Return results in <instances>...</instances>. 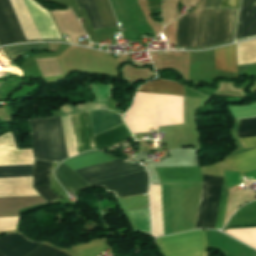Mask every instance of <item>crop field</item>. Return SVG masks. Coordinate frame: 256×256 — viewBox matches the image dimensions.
I'll list each match as a JSON object with an SVG mask.
<instances>
[{
    "label": "crop field",
    "mask_w": 256,
    "mask_h": 256,
    "mask_svg": "<svg viewBox=\"0 0 256 256\" xmlns=\"http://www.w3.org/2000/svg\"><path fill=\"white\" fill-rule=\"evenodd\" d=\"M202 0L180 18L178 47L205 48L234 41L240 0ZM223 4V9H222ZM219 10L232 12L204 11Z\"/></svg>",
    "instance_id": "crop-field-1"
},
{
    "label": "crop field",
    "mask_w": 256,
    "mask_h": 256,
    "mask_svg": "<svg viewBox=\"0 0 256 256\" xmlns=\"http://www.w3.org/2000/svg\"><path fill=\"white\" fill-rule=\"evenodd\" d=\"M42 38L61 39L47 10L24 0ZM23 0H11L28 39L41 38ZM10 0H0V44L28 41Z\"/></svg>",
    "instance_id": "crop-field-2"
},
{
    "label": "crop field",
    "mask_w": 256,
    "mask_h": 256,
    "mask_svg": "<svg viewBox=\"0 0 256 256\" xmlns=\"http://www.w3.org/2000/svg\"><path fill=\"white\" fill-rule=\"evenodd\" d=\"M30 133L37 159L60 162L68 158L59 116L28 119Z\"/></svg>",
    "instance_id": "crop-field-3"
},
{
    "label": "crop field",
    "mask_w": 256,
    "mask_h": 256,
    "mask_svg": "<svg viewBox=\"0 0 256 256\" xmlns=\"http://www.w3.org/2000/svg\"><path fill=\"white\" fill-rule=\"evenodd\" d=\"M202 178L203 187L196 229H215L223 178L204 174H202ZM227 199L224 178L216 229L223 226Z\"/></svg>",
    "instance_id": "crop-field-4"
},
{
    "label": "crop field",
    "mask_w": 256,
    "mask_h": 256,
    "mask_svg": "<svg viewBox=\"0 0 256 256\" xmlns=\"http://www.w3.org/2000/svg\"><path fill=\"white\" fill-rule=\"evenodd\" d=\"M164 256H207L204 230L164 236L156 240Z\"/></svg>",
    "instance_id": "crop-field-5"
},
{
    "label": "crop field",
    "mask_w": 256,
    "mask_h": 256,
    "mask_svg": "<svg viewBox=\"0 0 256 256\" xmlns=\"http://www.w3.org/2000/svg\"><path fill=\"white\" fill-rule=\"evenodd\" d=\"M72 117L80 153L95 149L88 112ZM72 117L60 116L69 157L79 154Z\"/></svg>",
    "instance_id": "crop-field-6"
},
{
    "label": "crop field",
    "mask_w": 256,
    "mask_h": 256,
    "mask_svg": "<svg viewBox=\"0 0 256 256\" xmlns=\"http://www.w3.org/2000/svg\"><path fill=\"white\" fill-rule=\"evenodd\" d=\"M34 165L0 167V177L33 176ZM33 177L0 178V197L39 195Z\"/></svg>",
    "instance_id": "crop-field-7"
},
{
    "label": "crop field",
    "mask_w": 256,
    "mask_h": 256,
    "mask_svg": "<svg viewBox=\"0 0 256 256\" xmlns=\"http://www.w3.org/2000/svg\"><path fill=\"white\" fill-rule=\"evenodd\" d=\"M144 170V166L119 159L75 171L92 184Z\"/></svg>",
    "instance_id": "crop-field-8"
},
{
    "label": "crop field",
    "mask_w": 256,
    "mask_h": 256,
    "mask_svg": "<svg viewBox=\"0 0 256 256\" xmlns=\"http://www.w3.org/2000/svg\"><path fill=\"white\" fill-rule=\"evenodd\" d=\"M102 186L108 193L114 192L115 197H125L148 193V174L146 171L92 184Z\"/></svg>",
    "instance_id": "crop-field-9"
},
{
    "label": "crop field",
    "mask_w": 256,
    "mask_h": 256,
    "mask_svg": "<svg viewBox=\"0 0 256 256\" xmlns=\"http://www.w3.org/2000/svg\"><path fill=\"white\" fill-rule=\"evenodd\" d=\"M241 137L256 136V118L242 120L240 126ZM246 148L256 147V137L242 139ZM227 161L239 169L242 173L256 169V149L250 152L232 157Z\"/></svg>",
    "instance_id": "crop-field-10"
},
{
    "label": "crop field",
    "mask_w": 256,
    "mask_h": 256,
    "mask_svg": "<svg viewBox=\"0 0 256 256\" xmlns=\"http://www.w3.org/2000/svg\"><path fill=\"white\" fill-rule=\"evenodd\" d=\"M76 1L79 8H85L95 30L101 29L104 27L108 28V27L118 26L109 0H95L99 13L102 18L104 27H103V24L94 0H76Z\"/></svg>",
    "instance_id": "crop-field-11"
},
{
    "label": "crop field",
    "mask_w": 256,
    "mask_h": 256,
    "mask_svg": "<svg viewBox=\"0 0 256 256\" xmlns=\"http://www.w3.org/2000/svg\"><path fill=\"white\" fill-rule=\"evenodd\" d=\"M34 162L32 150H18L10 131L0 136V166Z\"/></svg>",
    "instance_id": "crop-field-12"
},
{
    "label": "crop field",
    "mask_w": 256,
    "mask_h": 256,
    "mask_svg": "<svg viewBox=\"0 0 256 256\" xmlns=\"http://www.w3.org/2000/svg\"><path fill=\"white\" fill-rule=\"evenodd\" d=\"M44 242H35L21 233H7L0 239V256H26Z\"/></svg>",
    "instance_id": "crop-field-13"
},
{
    "label": "crop field",
    "mask_w": 256,
    "mask_h": 256,
    "mask_svg": "<svg viewBox=\"0 0 256 256\" xmlns=\"http://www.w3.org/2000/svg\"><path fill=\"white\" fill-rule=\"evenodd\" d=\"M256 38V0H242L236 41Z\"/></svg>",
    "instance_id": "crop-field-14"
},
{
    "label": "crop field",
    "mask_w": 256,
    "mask_h": 256,
    "mask_svg": "<svg viewBox=\"0 0 256 256\" xmlns=\"http://www.w3.org/2000/svg\"><path fill=\"white\" fill-rule=\"evenodd\" d=\"M161 183L202 182L200 167L155 168Z\"/></svg>",
    "instance_id": "crop-field-15"
},
{
    "label": "crop field",
    "mask_w": 256,
    "mask_h": 256,
    "mask_svg": "<svg viewBox=\"0 0 256 256\" xmlns=\"http://www.w3.org/2000/svg\"><path fill=\"white\" fill-rule=\"evenodd\" d=\"M52 163L36 159L34 171L33 187L48 202L59 199L57 195L50 191V173Z\"/></svg>",
    "instance_id": "crop-field-16"
},
{
    "label": "crop field",
    "mask_w": 256,
    "mask_h": 256,
    "mask_svg": "<svg viewBox=\"0 0 256 256\" xmlns=\"http://www.w3.org/2000/svg\"><path fill=\"white\" fill-rule=\"evenodd\" d=\"M94 136L124 124L122 116L109 110L89 111Z\"/></svg>",
    "instance_id": "crop-field-17"
},
{
    "label": "crop field",
    "mask_w": 256,
    "mask_h": 256,
    "mask_svg": "<svg viewBox=\"0 0 256 256\" xmlns=\"http://www.w3.org/2000/svg\"><path fill=\"white\" fill-rule=\"evenodd\" d=\"M132 134V133H131ZM126 124L119 126L115 129L95 136L96 147L99 150H104L108 147L116 145L120 142L132 138Z\"/></svg>",
    "instance_id": "crop-field-18"
},
{
    "label": "crop field",
    "mask_w": 256,
    "mask_h": 256,
    "mask_svg": "<svg viewBox=\"0 0 256 256\" xmlns=\"http://www.w3.org/2000/svg\"><path fill=\"white\" fill-rule=\"evenodd\" d=\"M216 69L238 73L235 45L215 49Z\"/></svg>",
    "instance_id": "crop-field-19"
},
{
    "label": "crop field",
    "mask_w": 256,
    "mask_h": 256,
    "mask_svg": "<svg viewBox=\"0 0 256 256\" xmlns=\"http://www.w3.org/2000/svg\"><path fill=\"white\" fill-rule=\"evenodd\" d=\"M137 91L185 96L183 86L165 80L147 82Z\"/></svg>",
    "instance_id": "crop-field-20"
},
{
    "label": "crop field",
    "mask_w": 256,
    "mask_h": 256,
    "mask_svg": "<svg viewBox=\"0 0 256 256\" xmlns=\"http://www.w3.org/2000/svg\"><path fill=\"white\" fill-rule=\"evenodd\" d=\"M97 102L85 103L80 105H75L73 108L76 112L91 110L95 108H108L107 96L112 95L113 87L108 84H99L91 86Z\"/></svg>",
    "instance_id": "crop-field-21"
},
{
    "label": "crop field",
    "mask_w": 256,
    "mask_h": 256,
    "mask_svg": "<svg viewBox=\"0 0 256 256\" xmlns=\"http://www.w3.org/2000/svg\"><path fill=\"white\" fill-rule=\"evenodd\" d=\"M55 175L60 184L65 188L67 192L81 189L88 186L78 175L70 170L64 164H61L55 172Z\"/></svg>",
    "instance_id": "crop-field-22"
},
{
    "label": "crop field",
    "mask_w": 256,
    "mask_h": 256,
    "mask_svg": "<svg viewBox=\"0 0 256 256\" xmlns=\"http://www.w3.org/2000/svg\"><path fill=\"white\" fill-rule=\"evenodd\" d=\"M115 159H119V158H115V157L106 155L102 152H99V153L71 159L63 163L69 165L73 170H75V169H79V168H83V167H87V166H91V165H95V164H99V163H103V162H107Z\"/></svg>",
    "instance_id": "crop-field-23"
},
{
    "label": "crop field",
    "mask_w": 256,
    "mask_h": 256,
    "mask_svg": "<svg viewBox=\"0 0 256 256\" xmlns=\"http://www.w3.org/2000/svg\"><path fill=\"white\" fill-rule=\"evenodd\" d=\"M238 64L256 63V40L236 44Z\"/></svg>",
    "instance_id": "crop-field-24"
},
{
    "label": "crop field",
    "mask_w": 256,
    "mask_h": 256,
    "mask_svg": "<svg viewBox=\"0 0 256 256\" xmlns=\"http://www.w3.org/2000/svg\"><path fill=\"white\" fill-rule=\"evenodd\" d=\"M107 245L103 240L76 246L79 256H98L104 249H107Z\"/></svg>",
    "instance_id": "crop-field-25"
},
{
    "label": "crop field",
    "mask_w": 256,
    "mask_h": 256,
    "mask_svg": "<svg viewBox=\"0 0 256 256\" xmlns=\"http://www.w3.org/2000/svg\"><path fill=\"white\" fill-rule=\"evenodd\" d=\"M13 61L17 59L23 53L33 50V49H44L48 50V43H36V44H27V45H19V46H11L6 47Z\"/></svg>",
    "instance_id": "crop-field-26"
},
{
    "label": "crop field",
    "mask_w": 256,
    "mask_h": 256,
    "mask_svg": "<svg viewBox=\"0 0 256 256\" xmlns=\"http://www.w3.org/2000/svg\"><path fill=\"white\" fill-rule=\"evenodd\" d=\"M28 256H70V255L43 244Z\"/></svg>",
    "instance_id": "crop-field-27"
},
{
    "label": "crop field",
    "mask_w": 256,
    "mask_h": 256,
    "mask_svg": "<svg viewBox=\"0 0 256 256\" xmlns=\"http://www.w3.org/2000/svg\"><path fill=\"white\" fill-rule=\"evenodd\" d=\"M236 119L256 116V103L251 106L230 108Z\"/></svg>",
    "instance_id": "crop-field-28"
},
{
    "label": "crop field",
    "mask_w": 256,
    "mask_h": 256,
    "mask_svg": "<svg viewBox=\"0 0 256 256\" xmlns=\"http://www.w3.org/2000/svg\"><path fill=\"white\" fill-rule=\"evenodd\" d=\"M18 217L0 218V231L15 230Z\"/></svg>",
    "instance_id": "crop-field-29"
},
{
    "label": "crop field",
    "mask_w": 256,
    "mask_h": 256,
    "mask_svg": "<svg viewBox=\"0 0 256 256\" xmlns=\"http://www.w3.org/2000/svg\"><path fill=\"white\" fill-rule=\"evenodd\" d=\"M59 110L61 111L62 114H72V113H75V111L73 110V108L70 105L63 106V107L59 108Z\"/></svg>",
    "instance_id": "crop-field-30"
}]
</instances>
